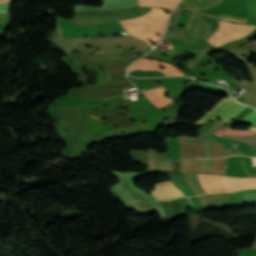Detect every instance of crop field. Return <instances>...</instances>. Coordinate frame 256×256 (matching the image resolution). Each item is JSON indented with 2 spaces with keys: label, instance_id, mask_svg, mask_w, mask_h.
Segmentation results:
<instances>
[{
  "label": "crop field",
  "instance_id": "obj_1",
  "mask_svg": "<svg viewBox=\"0 0 256 256\" xmlns=\"http://www.w3.org/2000/svg\"><path fill=\"white\" fill-rule=\"evenodd\" d=\"M218 29L209 37L207 41L215 46H221L237 38L246 36L256 28L255 25H242L220 21Z\"/></svg>",
  "mask_w": 256,
  "mask_h": 256
},
{
  "label": "crop field",
  "instance_id": "obj_2",
  "mask_svg": "<svg viewBox=\"0 0 256 256\" xmlns=\"http://www.w3.org/2000/svg\"><path fill=\"white\" fill-rule=\"evenodd\" d=\"M246 106L236 102L229 95L228 98H222L218 103H216L213 108L206 112L205 115L200 118L197 124H206L211 119L216 117H221L223 121H228L231 117L237 114L239 111L244 109Z\"/></svg>",
  "mask_w": 256,
  "mask_h": 256
},
{
  "label": "crop field",
  "instance_id": "obj_3",
  "mask_svg": "<svg viewBox=\"0 0 256 256\" xmlns=\"http://www.w3.org/2000/svg\"><path fill=\"white\" fill-rule=\"evenodd\" d=\"M79 42L89 43L93 48H115L116 45L121 47L131 48L135 47L134 50H142L145 52L149 43L135 39L133 37L124 36V38H114V36H109L106 38H97V39H76Z\"/></svg>",
  "mask_w": 256,
  "mask_h": 256
},
{
  "label": "crop field",
  "instance_id": "obj_4",
  "mask_svg": "<svg viewBox=\"0 0 256 256\" xmlns=\"http://www.w3.org/2000/svg\"><path fill=\"white\" fill-rule=\"evenodd\" d=\"M158 64L165 65L166 68L165 70H161L158 67ZM134 69H153V70H161L163 73H165L168 76H173V75H183L182 72H180L175 66H172L168 63L165 62H159L156 60H150V59H143L140 60L133 65H131L128 69V72L134 70Z\"/></svg>",
  "mask_w": 256,
  "mask_h": 256
},
{
  "label": "crop field",
  "instance_id": "obj_5",
  "mask_svg": "<svg viewBox=\"0 0 256 256\" xmlns=\"http://www.w3.org/2000/svg\"><path fill=\"white\" fill-rule=\"evenodd\" d=\"M157 200H170L184 196L171 181L155 184V190L150 191Z\"/></svg>",
  "mask_w": 256,
  "mask_h": 256
},
{
  "label": "crop field",
  "instance_id": "obj_6",
  "mask_svg": "<svg viewBox=\"0 0 256 256\" xmlns=\"http://www.w3.org/2000/svg\"><path fill=\"white\" fill-rule=\"evenodd\" d=\"M144 93V95L153 103L155 104L158 108H161L167 104H169L170 102H172V100L166 98L163 96V94L165 92H167L163 86L161 87H157V88H153V89H148V90H144L142 91ZM155 100H157L158 102H154Z\"/></svg>",
  "mask_w": 256,
  "mask_h": 256
},
{
  "label": "crop field",
  "instance_id": "obj_7",
  "mask_svg": "<svg viewBox=\"0 0 256 256\" xmlns=\"http://www.w3.org/2000/svg\"><path fill=\"white\" fill-rule=\"evenodd\" d=\"M169 156L171 160H181L180 143L178 138L173 139L171 136L165 139Z\"/></svg>",
  "mask_w": 256,
  "mask_h": 256
},
{
  "label": "crop field",
  "instance_id": "obj_8",
  "mask_svg": "<svg viewBox=\"0 0 256 256\" xmlns=\"http://www.w3.org/2000/svg\"><path fill=\"white\" fill-rule=\"evenodd\" d=\"M170 180L173 182V184L179 188L186 196H193L195 195L193 191L188 187V185L185 183L182 175H175L169 177Z\"/></svg>",
  "mask_w": 256,
  "mask_h": 256
},
{
  "label": "crop field",
  "instance_id": "obj_9",
  "mask_svg": "<svg viewBox=\"0 0 256 256\" xmlns=\"http://www.w3.org/2000/svg\"><path fill=\"white\" fill-rule=\"evenodd\" d=\"M178 0H139L140 4H151V5H161V6H168L173 7ZM141 6H150V5H141ZM155 6V7H161ZM162 7V8H168ZM169 8V9H171Z\"/></svg>",
  "mask_w": 256,
  "mask_h": 256
},
{
  "label": "crop field",
  "instance_id": "obj_10",
  "mask_svg": "<svg viewBox=\"0 0 256 256\" xmlns=\"http://www.w3.org/2000/svg\"><path fill=\"white\" fill-rule=\"evenodd\" d=\"M149 16L152 18L156 19L160 23L166 26L167 20H168V14H165L163 12V9L160 8H152L148 13Z\"/></svg>",
  "mask_w": 256,
  "mask_h": 256
},
{
  "label": "crop field",
  "instance_id": "obj_11",
  "mask_svg": "<svg viewBox=\"0 0 256 256\" xmlns=\"http://www.w3.org/2000/svg\"><path fill=\"white\" fill-rule=\"evenodd\" d=\"M223 133L230 134V135H256V131H240V130H232L226 127L218 130L214 134L222 136Z\"/></svg>",
  "mask_w": 256,
  "mask_h": 256
},
{
  "label": "crop field",
  "instance_id": "obj_12",
  "mask_svg": "<svg viewBox=\"0 0 256 256\" xmlns=\"http://www.w3.org/2000/svg\"><path fill=\"white\" fill-rule=\"evenodd\" d=\"M241 120H245L246 123H249L251 125H256V110L250 112L249 114L245 115L243 118L237 120L238 123Z\"/></svg>",
  "mask_w": 256,
  "mask_h": 256
},
{
  "label": "crop field",
  "instance_id": "obj_13",
  "mask_svg": "<svg viewBox=\"0 0 256 256\" xmlns=\"http://www.w3.org/2000/svg\"><path fill=\"white\" fill-rule=\"evenodd\" d=\"M220 19H223V18H220ZM223 20L237 21V20H230V19H223ZM237 22H244V21H237ZM244 23H247V22H244Z\"/></svg>",
  "mask_w": 256,
  "mask_h": 256
},
{
  "label": "crop field",
  "instance_id": "obj_14",
  "mask_svg": "<svg viewBox=\"0 0 256 256\" xmlns=\"http://www.w3.org/2000/svg\"><path fill=\"white\" fill-rule=\"evenodd\" d=\"M1 2H10V0H0V3Z\"/></svg>",
  "mask_w": 256,
  "mask_h": 256
},
{
  "label": "crop field",
  "instance_id": "obj_15",
  "mask_svg": "<svg viewBox=\"0 0 256 256\" xmlns=\"http://www.w3.org/2000/svg\"><path fill=\"white\" fill-rule=\"evenodd\" d=\"M255 177V176H254Z\"/></svg>",
  "mask_w": 256,
  "mask_h": 256
}]
</instances>
